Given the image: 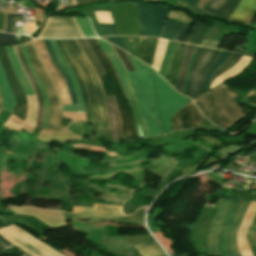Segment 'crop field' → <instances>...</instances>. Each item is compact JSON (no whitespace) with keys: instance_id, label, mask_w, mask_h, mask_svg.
Instances as JSON below:
<instances>
[{"instance_id":"8a807250","label":"crop field","mask_w":256,"mask_h":256,"mask_svg":"<svg viewBox=\"0 0 256 256\" xmlns=\"http://www.w3.org/2000/svg\"><path fill=\"white\" fill-rule=\"evenodd\" d=\"M56 42L77 77L83 94L87 121L99 122L98 129H109L101 85L76 39L56 40Z\"/></svg>"},{"instance_id":"ac0d7876","label":"crop field","mask_w":256,"mask_h":256,"mask_svg":"<svg viewBox=\"0 0 256 256\" xmlns=\"http://www.w3.org/2000/svg\"><path fill=\"white\" fill-rule=\"evenodd\" d=\"M204 94L206 96L195 103L216 125L228 129L245 116L233 101L240 94L222 83Z\"/></svg>"},{"instance_id":"34b2d1b8","label":"crop field","mask_w":256,"mask_h":256,"mask_svg":"<svg viewBox=\"0 0 256 256\" xmlns=\"http://www.w3.org/2000/svg\"><path fill=\"white\" fill-rule=\"evenodd\" d=\"M86 40L106 71L98 76L103 86L104 94L113 95L115 98L117 109L122 121V134L125 137L126 142L135 141L137 140L135 127L133 126L129 113L124 105L125 96L116 71L96 39Z\"/></svg>"},{"instance_id":"412701ff","label":"crop field","mask_w":256,"mask_h":256,"mask_svg":"<svg viewBox=\"0 0 256 256\" xmlns=\"http://www.w3.org/2000/svg\"><path fill=\"white\" fill-rule=\"evenodd\" d=\"M23 45L26 47V50L30 56L31 64L35 68L48 94L50 108H49V122H48L47 129L61 132V125H62L61 104H60L56 87L52 82L43 62L39 58L32 42L30 41Z\"/></svg>"},{"instance_id":"f4fd0767","label":"crop field","mask_w":256,"mask_h":256,"mask_svg":"<svg viewBox=\"0 0 256 256\" xmlns=\"http://www.w3.org/2000/svg\"><path fill=\"white\" fill-rule=\"evenodd\" d=\"M151 70L161 121L167 133L170 134V120L178 109L186 103V99L172 89L154 69L151 68Z\"/></svg>"},{"instance_id":"dd49c442","label":"crop field","mask_w":256,"mask_h":256,"mask_svg":"<svg viewBox=\"0 0 256 256\" xmlns=\"http://www.w3.org/2000/svg\"><path fill=\"white\" fill-rule=\"evenodd\" d=\"M0 235L31 256H64L14 224L0 229Z\"/></svg>"},{"instance_id":"e52e79f7","label":"crop field","mask_w":256,"mask_h":256,"mask_svg":"<svg viewBox=\"0 0 256 256\" xmlns=\"http://www.w3.org/2000/svg\"><path fill=\"white\" fill-rule=\"evenodd\" d=\"M97 41L99 42V44L102 46V48L104 49V51L106 52V54L108 55V57L110 58L111 62L113 63L119 80L121 82V85L123 87V90L125 92V95L127 97V100L130 101L132 107H133V111H134V117H135V124L137 126V135L138 137L141 138H148L146 131H145V127L142 121V118L140 116L139 113V109L128 79V76L126 74V71L123 67V65L121 64L119 58L117 57L116 53L114 52V50L112 49V47L110 46V44L97 39Z\"/></svg>"},{"instance_id":"d8731c3e","label":"crop field","mask_w":256,"mask_h":256,"mask_svg":"<svg viewBox=\"0 0 256 256\" xmlns=\"http://www.w3.org/2000/svg\"><path fill=\"white\" fill-rule=\"evenodd\" d=\"M143 36H160L163 21L169 10L146 3H137Z\"/></svg>"},{"instance_id":"5a996713","label":"crop field","mask_w":256,"mask_h":256,"mask_svg":"<svg viewBox=\"0 0 256 256\" xmlns=\"http://www.w3.org/2000/svg\"><path fill=\"white\" fill-rule=\"evenodd\" d=\"M83 37L74 17H49L38 38Z\"/></svg>"},{"instance_id":"3316defc","label":"crop field","mask_w":256,"mask_h":256,"mask_svg":"<svg viewBox=\"0 0 256 256\" xmlns=\"http://www.w3.org/2000/svg\"><path fill=\"white\" fill-rule=\"evenodd\" d=\"M128 57L131 60L132 64L134 65V67L139 75V78L142 83L143 90H144V93H145V96H146V99L148 102V106H149L157 124L159 125L163 135H165L166 132L161 124L156 101H155L154 85H153V81H152V77H151L150 68H149V66L142 63L138 59H136L130 55H128Z\"/></svg>"},{"instance_id":"28ad6ade","label":"crop field","mask_w":256,"mask_h":256,"mask_svg":"<svg viewBox=\"0 0 256 256\" xmlns=\"http://www.w3.org/2000/svg\"><path fill=\"white\" fill-rule=\"evenodd\" d=\"M6 51L8 53V56L10 58V61L12 63V66L14 68V71L16 73V76L21 84V86L23 87L25 94L27 96V98H32L35 99L34 94H33V90L29 84V81L20 65V62L18 60V57L15 53V50L13 47H9L6 48ZM28 100V111L26 114V118H25V122L31 123L33 125H35L36 122V117H37V100H31V99H27Z\"/></svg>"},{"instance_id":"d1516ede","label":"crop field","mask_w":256,"mask_h":256,"mask_svg":"<svg viewBox=\"0 0 256 256\" xmlns=\"http://www.w3.org/2000/svg\"><path fill=\"white\" fill-rule=\"evenodd\" d=\"M0 62L8 79L12 92L16 98V111L14 115L24 120L27 110L26 96L16 79L15 73L12 69L4 47L0 48Z\"/></svg>"},{"instance_id":"22f410ed","label":"crop field","mask_w":256,"mask_h":256,"mask_svg":"<svg viewBox=\"0 0 256 256\" xmlns=\"http://www.w3.org/2000/svg\"><path fill=\"white\" fill-rule=\"evenodd\" d=\"M203 119L204 117L191 101L173 116L171 120L172 133L182 129H197L199 122Z\"/></svg>"},{"instance_id":"cbeb9de0","label":"crop field","mask_w":256,"mask_h":256,"mask_svg":"<svg viewBox=\"0 0 256 256\" xmlns=\"http://www.w3.org/2000/svg\"><path fill=\"white\" fill-rule=\"evenodd\" d=\"M127 73L130 77V80L133 84V87L137 96V100L139 103L140 111L142 114V118L146 127L148 137L151 138V137L161 136L162 135L161 131L159 130L155 120L153 119V117L151 116L148 110V106L146 104L142 86L137 76V73L136 72H127Z\"/></svg>"},{"instance_id":"5142ce71","label":"crop field","mask_w":256,"mask_h":256,"mask_svg":"<svg viewBox=\"0 0 256 256\" xmlns=\"http://www.w3.org/2000/svg\"><path fill=\"white\" fill-rule=\"evenodd\" d=\"M228 202L229 200L221 199L217 207L214 220L210 227L208 241H207L208 254L210 255L219 256L217 253V238H218L221 222L226 214Z\"/></svg>"},{"instance_id":"d9b57169","label":"crop field","mask_w":256,"mask_h":256,"mask_svg":"<svg viewBox=\"0 0 256 256\" xmlns=\"http://www.w3.org/2000/svg\"><path fill=\"white\" fill-rule=\"evenodd\" d=\"M238 200H231L227 214L222 222L219 239H218V253L220 256H229L227 253V241H228V232L233 220L235 211L239 205Z\"/></svg>"},{"instance_id":"733c2abd","label":"crop field","mask_w":256,"mask_h":256,"mask_svg":"<svg viewBox=\"0 0 256 256\" xmlns=\"http://www.w3.org/2000/svg\"><path fill=\"white\" fill-rule=\"evenodd\" d=\"M256 211V203L250 202L249 208L242 220V223L240 225L238 235H237V243L238 248L242 256H252L250 249H249V243L246 239V231L248 229V226L250 224V221Z\"/></svg>"},{"instance_id":"4a817a6b","label":"crop field","mask_w":256,"mask_h":256,"mask_svg":"<svg viewBox=\"0 0 256 256\" xmlns=\"http://www.w3.org/2000/svg\"><path fill=\"white\" fill-rule=\"evenodd\" d=\"M214 50L213 49H208L202 47L199 61L195 67L192 82H191V87H190V97H196L198 96V87L200 80L202 78V75L204 73V70L213 54Z\"/></svg>"},{"instance_id":"bc2a9ffb","label":"crop field","mask_w":256,"mask_h":256,"mask_svg":"<svg viewBox=\"0 0 256 256\" xmlns=\"http://www.w3.org/2000/svg\"><path fill=\"white\" fill-rule=\"evenodd\" d=\"M50 40H51L53 49H54L61 65L66 69L67 73L69 74V76L71 78V81L74 85L76 96H77L78 105H62L63 111L84 112L82 97H81V93H80V89H79L76 77H75L73 71L70 69V67L66 63L63 56L61 55L60 51L58 50L55 40H52V39H50Z\"/></svg>"},{"instance_id":"214f88e0","label":"crop field","mask_w":256,"mask_h":256,"mask_svg":"<svg viewBox=\"0 0 256 256\" xmlns=\"http://www.w3.org/2000/svg\"><path fill=\"white\" fill-rule=\"evenodd\" d=\"M256 13V0H241L229 20L251 25Z\"/></svg>"},{"instance_id":"92a150f3","label":"crop field","mask_w":256,"mask_h":256,"mask_svg":"<svg viewBox=\"0 0 256 256\" xmlns=\"http://www.w3.org/2000/svg\"><path fill=\"white\" fill-rule=\"evenodd\" d=\"M108 118L110 121V137L113 142H120L121 121L116 110L115 102L112 96H104Z\"/></svg>"},{"instance_id":"dafd665d","label":"crop field","mask_w":256,"mask_h":256,"mask_svg":"<svg viewBox=\"0 0 256 256\" xmlns=\"http://www.w3.org/2000/svg\"><path fill=\"white\" fill-rule=\"evenodd\" d=\"M249 201L247 202H240L239 208L235 214L233 223L230 228L229 232V254L231 256H240V253L237 248L236 244V234L240 225V222L242 220V217L245 213V211L248 208Z\"/></svg>"},{"instance_id":"00972430","label":"crop field","mask_w":256,"mask_h":256,"mask_svg":"<svg viewBox=\"0 0 256 256\" xmlns=\"http://www.w3.org/2000/svg\"><path fill=\"white\" fill-rule=\"evenodd\" d=\"M73 211L81 214H93V215H101V216H120L123 215L120 211V207L111 206V205H103L93 203L92 208L86 207H76L72 206Z\"/></svg>"},{"instance_id":"a9b5d70f","label":"crop field","mask_w":256,"mask_h":256,"mask_svg":"<svg viewBox=\"0 0 256 256\" xmlns=\"http://www.w3.org/2000/svg\"><path fill=\"white\" fill-rule=\"evenodd\" d=\"M185 45L186 44H184V43L178 42L176 45L175 52H174L170 73H169V76L167 79V81L171 84V86L173 88H175L176 81L178 79Z\"/></svg>"},{"instance_id":"4177f3b9","label":"crop field","mask_w":256,"mask_h":256,"mask_svg":"<svg viewBox=\"0 0 256 256\" xmlns=\"http://www.w3.org/2000/svg\"><path fill=\"white\" fill-rule=\"evenodd\" d=\"M139 39L140 51L138 58L145 61L149 65H152L153 56L158 39L152 37H139Z\"/></svg>"},{"instance_id":"730fd06b","label":"crop field","mask_w":256,"mask_h":256,"mask_svg":"<svg viewBox=\"0 0 256 256\" xmlns=\"http://www.w3.org/2000/svg\"><path fill=\"white\" fill-rule=\"evenodd\" d=\"M0 89L3 96L2 109L12 113V108L15 106V98L10 90L9 84L4 75L1 65H0Z\"/></svg>"},{"instance_id":"eef30255","label":"crop field","mask_w":256,"mask_h":256,"mask_svg":"<svg viewBox=\"0 0 256 256\" xmlns=\"http://www.w3.org/2000/svg\"><path fill=\"white\" fill-rule=\"evenodd\" d=\"M252 58L244 57L242 56L241 59L237 62L235 66L228 69L226 72L221 74L219 77H217L212 83L210 88L217 85L218 83L227 80L235 75H238L244 71V69L248 66V64L251 62Z\"/></svg>"},{"instance_id":"ae1a2a85","label":"crop field","mask_w":256,"mask_h":256,"mask_svg":"<svg viewBox=\"0 0 256 256\" xmlns=\"http://www.w3.org/2000/svg\"><path fill=\"white\" fill-rule=\"evenodd\" d=\"M15 48H16V50H17V53H18V55H19V57H20V60H21V62H22V64H23V66H24L26 72H27V74H28V76H29V78H30L32 84H33L35 93H36L37 98H38L39 111H38V118H37V124H36V126L39 127V128H41V127H42V124H43V100H42V98H41V95H40L38 86H37V84H36V82H35V80H34L32 74H31L29 68L27 67V65H26V63H25L23 54H22V52H21L19 46H16Z\"/></svg>"},{"instance_id":"d3111659","label":"crop field","mask_w":256,"mask_h":256,"mask_svg":"<svg viewBox=\"0 0 256 256\" xmlns=\"http://www.w3.org/2000/svg\"><path fill=\"white\" fill-rule=\"evenodd\" d=\"M44 40V43L46 45V48L48 50V53L53 61V63L55 64V66L57 67V69L60 71V73L64 76L65 78V81H66V84L69 88V92H70V96H71V101H72V104H77L76 102V97H75V92H74V88H73V85L65 71V69L59 64L56 56H55V53L52 49V46H51V43H50V40L49 39H43Z\"/></svg>"},{"instance_id":"750c4746","label":"crop field","mask_w":256,"mask_h":256,"mask_svg":"<svg viewBox=\"0 0 256 256\" xmlns=\"http://www.w3.org/2000/svg\"><path fill=\"white\" fill-rule=\"evenodd\" d=\"M20 48L24 54V57H25V60H26V63L28 65V67L30 68L32 74L34 75L37 83H38V86H39V89H40V92H41V95H42V98L44 100V125L42 128L46 129L47 128V114H48V98H47V94H46V91L41 83V81L39 80L37 74L35 73L33 67L31 66L30 64V61H29V57L26 53V50L25 48L23 47V45H20Z\"/></svg>"},{"instance_id":"bd1437ed","label":"crop field","mask_w":256,"mask_h":256,"mask_svg":"<svg viewBox=\"0 0 256 256\" xmlns=\"http://www.w3.org/2000/svg\"><path fill=\"white\" fill-rule=\"evenodd\" d=\"M193 47L194 46L188 45V44L186 46L181 72H180V75H179L177 86L175 88V90H177L179 93H182V90H183V85H184L185 77H186V74H187L188 66H189V63H190Z\"/></svg>"},{"instance_id":"1d83c4d3","label":"crop field","mask_w":256,"mask_h":256,"mask_svg":"<svg viewBox=\"0 0 256 256\" xmlns=\"http://www.w3.org/2000/svg\"><path fill=\"white\" fill-rule=\"evenodd\" d=\"M239 1L240 0H225L224 3L216 10L206 7H204L203 9L212 11L216 15H219L220 17L227 19L230 16V14L235 10Z\"/></svg>"},{"instance_id":"120bbe31","label":"crop field","mask_w":256,"mask_h":256,"mask_svg":"<svg viewBox=\"0 0 256 256\" xmlns=\"http://www.w3.org/2000/svg\"><path fill=\"white\" fill-rule=\"evenodd\" d=\"M245 54H237V53H231V55L228 57V59L222 64L220 65L212 74L208 86H207V90L209 88L210 83L216 78V76L222 72H224L225 70H227L228 68L232 67L233 65L236 64V62L239 60V58ZM245 56H250L251 55H245Z\"/></svg>"},{"instance_id":"d32e631a","label":"crop field","mask_w":256,"mask_h":256,"mask_svg":"<svg viewBox=\"0 0 256 256\" xmlns=\"http://www.w3.org/2000/svg\"><path fill=\"white\" fill-rule=\"evenodd\" d=\"M175 44H176V42H172V41L168 42V45H167V48H166V51H165V54H164V57L162 60V64L160 67V71H159V73L161 75H163L164 77H167V75H168L174 48H175Z\"/></svg>"},{"instance_id":"5866460e","label":"crop field","mask_w":256,"mask_h":256,"mask_svg":"<svg viewBox=\"0 0 256 256\" xmlns=\"http://www.w3.org/2000/svg\"><path fill=\"white\" fill-rule=\"evenodd\" d=\"M207 30H208V27L196 21L194 28L187 39V42L198 45Z\"/></svg>"},{"instance_id":"028f5c9d","label":"crop field","mask_w":256,"mask_h":256,"mask_svg":"<svg viewBox=\"0 0 256 256\" xmlns=\"http://www.w3.org/2000/svg\"><path fill=\"white\" fill-rule=\"evenodd\" d=\"M181 27H182V24H178V23L166 20L161 37L165 39L175 40Z\"/></svg>"},{"instance_id":"e1f06a70","label":"crop field","mask_w":256,"mask_h":256,"mask_svg":"<svg viewBox=\"0 0 256 256\" xmlns=\"http://www.w3.org/2000/svg\"><path fill=\"white\" fill-rule=\"evenodd\" d=\"M141 256H158L165 254L156 242L137 246Z\"/></svg>"},{"instance_id":"0bd39190","label":"crop field","mask_w":256,"mask_h":256,"mask_svg":"<svg viewBox=\"0 0 256 256\" xmlns=\"http://www.w3.org/2000/svg\"><path fill=\"white\" fill-rule=\"evenodd\" d=\"M229 55H230L229 52L220 51V53H219L218 57L216 58L214 64L211 66V68L208 70V72L205 76L201 93L205 92L209 77H210L211 73L213 72V70L216 67H218L221 63H223Z\"/></svg>"},{"instance_id":"b80d0937","label":"crop field","mask_w":256,"mask_h":256,"mask_svg":"<svg viewBox=\"0 0 256 256\" xmlns=\"http://www.w3.org/2000/svg\"><path fill=\"white\" fill-rule=\"evenodd\" d=\"M167 42H168L167 40H163V39H159L158 41V45H157V49H156V53H155V57L152 65V67H154L157 71L159 70L160 63H161Z\"/></svg>"},{"instance_id":"c035e120","label":"crop field","mask_w":256,"mask_h":256,"mask_svg":"<svg viewBox=\"0 0 256 256\" xmlns=\"http://www.w3.org/2000/svg\"><path fill=\"white\" fill-rule=\"evenodd\" d=\"M85 37H96L88 18L75 17Z\"/></svg>"},{"instance_id":"c21b1889","label":"crop field","mask_w":256,"mask_h":256,"mask_svg":"<svg viewBox=\"0 0 256 256\" xmlns=\"http://www.w3.org/2000/svg\"><path fill=\"white\" fill-rule=\"evenodd\" d=\"M252 222L256 223V214H255ZM248 240L250 243L251 252H252L253 256H256V224H254V223H251V225H250Z\"/></svg>"},{"instance_id":"03da06ac","label":"crop field","mask_w":256,"mask_h":256,"mask_svg":"<svg viewBox=\"0 0 256 256\" xmlns=\"http://www.w3.org/2000/svg\"><path fill=\"white\" fill-rule=\"evenodd\" d=\"M98 23L113 24L109 11H95Z\"/></svg>"},{"instance_id":"b54c1fbb","label":"crop field","mask_w":256,"mask_h":256,"mask_svg":"<svg viewBox=\"0 0 256 256\" xmlns=\"http://www.w3.org/2000/svg\"><path fill=\"white\" fill-rule=\"evenodd\" d=\"M114 47V46H113ZM120 57V59L122 60V62L124 63V65L126 66V68L128 69V71H132L134 70L130 60L128 59L127 55L125 52H123L122 50L114 47Z\"/></svg>"},{"instance_id":"5d738f31","label":"crop field","mask_w":256,"mask_h":256,"mask_svg":"<svg viewBox=\"0 0 256 256\" xmlns=\"http://www.w3.org/2000/svg\"><path fill=\"white\" fill-rule=\"evenodd\" d=\"M99 26L105 35H118L114 25L99 24Z\"/></svg>"},{"instance_id":"d23c7cc5","label":"crop field","mask_w":256,"mask_h":256,"mask_svg":"<svg viewBox=\"0 0 256 256\" xmlns=\"http://www.w3.org/2000/svg\"><path fill=\"white\" fill-rule=\"evenodd\" d=\"M190 27H187L185 25H183L180 33L178 34L177 38H176V41H182V42H186V39L189 35V32H190Z\"/></svg>"},{"instance_id":"425ffa30","label":"crop field","mask_w":256,"mask_h":256,"mask_svg":"<svg viewBox=\"0 0 256 256\" xmlns=\"http://www.w3.org/2000/svg\"><path fill=\"white\" fill-rule=\"evenodd\" d=\"M15 36L11 34L0 33V43L8 44L15 42Z\"/></svg>"},{"instance_id":"25e5ab78","label":"crop field","mask_w":256,"mask_h":256,"mask_svg":"<svg viewBox=\"0 0 256 256\" xmlns=\"http://www.w3.org/2000/svg\"><path fill=\"white\" fill-rule=\"evenodd\" d=\"M12 18H13V14L6 13L5 30L4 31L13 33Z\"/></svg>"},{"instance_id":"73cf0c24","label":"crop field","mask_w":256,"mask_h":256,"mask_svg":"<svg viewBox=\"0 0 256 256\" xmlns=\"http://www.w3.org/2000/svg\"><path fill=\"white\" fill-rule=\"evenodd\" d=\"M244 100H245L247 103L256 106V89H254L253 91H251V92L244 98Z\"/></svg>"},{"instance_id":"89e229c0","label":"crop field","mask_w":256,"mask_h":256,"mask_svg":"<svg viewBox=\"0 0 256 256\" xmlns=\"http://www.w3.org/2000/svg\"><path fill=\"white\" fill-rule=\"evenodd\" d=\"M110 43L126 50L124 43L121 41L120 37H107ZM127 51V50H126Z\"/></svg>"},{"instance_id":"1f2cbd36","label":"crop field","mask_w":256,"mask_h":256,"mask_svg":"<svg viewBox=\"0 0 256 256\" xmlns=\"http://www.w3.org/2000/svg\"><path fill=\"white\" fill-rule=\"evenodd\" d=\"M200 49H201V47L197 48L195 60H194V63H193V67H192V70H191V74H190V77H189L188 86H187V90H186V94H185L186 96H188V94H189L190 81H191V77H192L194 66H195V64H196V62L198 60V57H199Z\"/></svg>"},{"instance_id":"dbb93151","label":"crop field","mask_w":256,"mask_h":256,"mask_svg":"<svg viewBox=\"0 0 256 256\" xmlns=\"http://www.w3.org/2000/svg\"><path fill=\"white\" fill-rule=\"evenodd\" d=\"M218 43H219V42H217V41H211V40L203 39L201 45H202V46H206V47H210V48L216 49Z\"/></svg>"},{"instance_id":"0fb4a251","label":"crop field","mask_w":256,"mask_h":256,"mask_svg":"<svg viewBox=\"0 0 256 256\" xmlns=\"http://www.w3.org/2000/svg\"><path fill=\"white\" fill-rule=\"evenodd\" d=\"M3 225L0 223V228H2ZM0 245L4 248V249H9L10 247L14 246L11 243H9L7 240H5L4 238L0 237Z\"/></svg>"},{"instance_id":"1d79db26","label":"crop field","mask_w":256,"mask_h":256,"mask_svg":"<svg viewBox=\"0 0 256 256\" xmlns=\"http://www.w3.org/2000/svg\"><path fill=\"white\" fill-rule=\"evenodd\" d=\"M224 0H211L207 3L206 7L216 9Z\"/></svg>"},{"instance_id":"9d1cf04e","label":"crop field","mask_w":256,"mask_h":256,"mask_svg":"<svg viewBox=\"0 0 256 256\" xmlns=\"http://www.w3.org/2000/svg\"><path fill=\"white\" fill-rule=\"evenodd\" d=\"M218 53H219V51H215V53H214V55H213L209 65H208V67H207V69H206V71H205V73L203 75V78H202V81H201L200 87H199V95H200V92H201V86H202V82H203L204 76H205L207 70L209 69V67L213 64V62H214L215 58L217 57Z\"/></svg>"},{"instance_id":"447ae74e","label":"crop field","mask_w":256,"mask_h":256,"mask_svg":"<svg viewBox=\"0 0 256 256\" xmlns=\"http://www.w3.org/2000/svg\"><path fill=\"white\" fill-rule=\"evenodd\" d=\"M196 47H194V51H193V55H192V59H191V63H190V66H189V70H188V74H187V77H186V81H185V86H184V90H183V95L185 94V90H186V85H187V81H188V77H189V74H190V70H191V67H192V63H193V59H194V55H195V51H196Z\"/></svg>"},{"instance_id":"0765c3eb","label":"crop field","mask_w":256,"mask_h":256,"mask_svg":"<svg viewBox=\"0 0 256 256\" xmlns=\"http://www.w3.org/2000/svg\"><path fill=\"white\" fill-rule=\"evenodd\" d=\"M182 1L187 2V3H189V4L193 5V6H196V4L198 2V0H182Z\"/></svg>"},{"instance_id":"db79e9e6","label":"crop field","mask_w":256,"mask_h":256,"mask_svg":"<svg viewBox=\"0 0 256 256\" xmlns=\"http://www.w3.org/2000/svg\"><path fill=\"white\" fill-rule=\"evenodd\" d=\"M3 19H4V14L0 13V31L2 30V27H3Z\"/></svg>"},{"instance_id":"7b73153f","label":"crop field","mask_w":256,"mask_h":256,"mask_svg":"<svg viewBox=\"0 0 256 256\" xmlns=\"http://www.w3.org/2000/svg\"><path fill=\"white\" fill-rule=\"evenodd\" d=\"M1 107H2V96H1V93H0V110H1Z\"/></svg>"},{"instance_id":"78b8030e","label":"crop field","mask_w":256,"mask_h":256,"mask_svg":"<svg viewBox=\"0 0 256 256\" xmlns=\"http://www.w3.org/2000/svg\"><path fill=\"white\" fill-rule=\"evenodd\" d=\"M171 256H176L175 254H170ZM180 256H186V254H184V255H180Z\"/></svg>"},{"instance_id":"0f1d7ab4","label":"crop field","mask_w":256,"mask_h":256,"mask_svg":"<svg viewBox=\"0 0 256 256\" xmlns=\"http://www.w3.org/2000/svg\"><path fill=\"white\" fill-rule=\"evenodd\" d=\"M20 256H28V255L24 253V254H22V255H20Z\"/></svg>"},{"instance_id":"e1d0b9f6","label":"crop field","mask_w":256,"mask_h":256,"mask_svg":"<svg viewBox=\"0 0 256 256\" xmlns=\"http://www.w3.org/2000/svg\"><path fill=\"white\" fill-rule=\"evenodd\" d=\"M150 1H156V2H159V0H150Z\"/></svg>"}]
</instances>
